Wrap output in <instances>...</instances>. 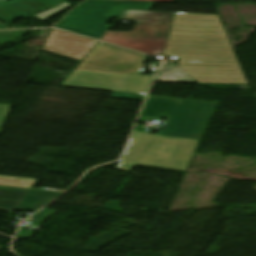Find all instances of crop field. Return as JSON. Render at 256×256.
<instances>
[{
	"label": "crop field",
	"mask_w": 256,
	"mask_h": 256,
	"mask_svg": "<svg viewBox=\"0 0 256 256\" xmlns=\"http://www.w3.org/2000/svg\"><path fill=\"white\" fill-rule=\"evenodd\" d=\"M215 105L149 96L139 118L169 119L159 135L134 132L117 169L140 164L185 171Z\"/></svg>",
	"instance_id": "8a807250"
},
{
	"label": "crop field",
	"mask_w": 256,
	"mask_h": 256,
	"mask_svg": "<svg viewBox=\"0 0 256 256\" xmlns=\"http://www.w3.org/2000/svg\"><path fill=\"white\" fill-rule=\"evenodd\" d=\"M163 54L197 83L247 84L230 44L167 41Z\"/></svg>",
	"instance_id": "ac0d7876"
},
{
	"label": "crop field",
	"mask_w": 256,
	"mask_h": 256,
	"mask_svg": "<svg viewBox=\"0 0 256 256\" xmlns=\"http://www.w3.org/2000/svg\"><path fill=\"white\" fill-rule=\"evenodd\" d=\"M153 3L85 1L56 27L100 40L111 27L110 18H119L126 9L149 11Z\"/></svg>",
	"instance_id": "34b2d1b8"
},
{
	"label": "crop field",
	"mask_w": 256,
	"mask_h": 256,
	"mask_svg": "<svg viewBox=\"0 0 256 256\" xmlns=\"http://www.w3.org/2000/svg\"><path fill=\"white\" fill-rule=\"evenodd\" d=\"M167 40L229 43L217 15L175 13Z\"/></svg>",
	"instance_id": "412701ff"
},
{
	"label": "crop field",
	"mask_w": 256,
	"mask_h": 256,
	"mask_svg": "<svg viewBox=\"0 0 256 256\" xmlns=\"http://www.w3.org/2000/svg\"><path fill=\"white\" fill-rule=\"evenodd\" d=\"M153 77H129L73 71L61 86L145 95Z\"/></svg>",
	"instance_id": "f4fd0767"
},
{
	"label": "crop field",
	"mask_w": 256,
	"mask_h": 256,
	"mask_svg": "<svg viewBox=\"0 0 256 256\" xmlns=\"http://www.w3.org/2000/svg\"><path fill=\"white\" fill-rule=\"evenodd\" d=\"M61 193L0 187V210L36 211Z\"/></svg>",
	"instance_id": "dd49c442"
},
{
	"label": "crop field",
	"mask_w": 256,
	"mask_h": 256,
	"mask_svg": "<svg viewBox=\"0 0 256 256\" xmlns=\"http://www.w3.org/2000/svg\"><path fill=\"white\" fill-rule=\"evenodd\" d=\"M96 43L53 29L43 49L82 61Z\"/></svg>",
	"instance_id": "e52e79f7"
},
{
	"label": "crop field",
	"mask_w": 256,
	"mask_h": 256,
	"mask_svg": "<svg viewBox=\"0 0 256 256\" xmlns=\"http://www.w3.org/2000/svg\"><path fill=\"white\" fill-rule=\"evenodd\" d=\"M60 0H12L0 5V20L11 24L15 17L27 18L32 13L54 6Z\"/></svg>",
	"instance_id": "d8731c3e"
},
{
	"label": "crop field",
	"mask_w": 256,
	"mask_h": 256,
	"mask_svg": "<svg viewBox=\"0 0 256 256\" xmlns=\"http://www.w3.org/2000/svg\"><path fill=\"white\" fill-rule=\"evenodd\" d=\"M57 213V211L44 209L41 212L37 213L33 217L29 218L27 222H33V223H41L45 221L46 218L50 217L51 215Z\"/></svg>",
	"instance_id": "5a996713"
},
{
	"label": "crop field",
	"mask_w": 256,
	"mask_h": 256,
	"mask_svg": "<svg viewBox=\"0 0 256 256\" xmlns=\"http://www.w3.org/2000/svg\"><path fill=\"white\" fill-rule=\"evenodd\" d=\"M70 5L71 4H68V3L64 2L60 6H58L57 8L52 9V10L47 11V12H44L42 14H39L36 17H38L39 19H41L43 21V20L47 19L48 17H50V16H52V15H54V14H56V13H58V12L64 10V9L68 8Z\"/></svg>",
	"instance_id": "3316defc"
},
{
	"label": "crop field",
	"mask_w": 256,
	"mask_h": 256,
	"mask_svg": "<svg viewBox=\"0 0 256 256\" xmlns=\"http://www.w3.org/2000/svg\"><path fill=\"white\" fill-rule=\"evenodd\" d=\"M24 229H25V228H24V227H22V229H21V230H19V232H18V234H17V236H16V237H18V238L23 237V238L30 239V237H31V235H32V233H33V231H30V230H24Z\"/></svg>",
	"instance_id": "28ad6ade"
}]
</instances>
